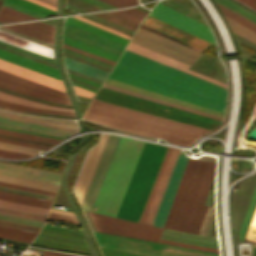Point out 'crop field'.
Here are the masks:
<instances>
[{"instance_id": "crop-field-1", "label": "crop field", "mask_w": 256, "mask_h": 256, "mask_svg": "<svg viewBox=\"0 0 256 256\" xmlns=\"http://www.w3.org/2000/svg\"><path fill=\"white\" fill-rule=\"evenodd\" d=\"M109 78L177 97L223 113L225 110V88L126 50Z\"/></svg>"}, {"instance_id": "crop-field-2", "label": "crop field", "mask_w": 256, "mask_h": 256, "mask_svg": "<svg viewBox=\"0 0 256 256\" xmlns=\"http://www.w3.org/2000/svg\"><path fill=\"white\" fill-rule=\"evenodd\" d=\"M207 162L188 159L171 204L166 228L181 230ZM215 163L208 162L182 231L199 233L208 206H203L214 177Z\"/></svg>"}, {"instance_id": "crop-field-3", "label": "crop field", "mask_w": 256, "mask_h": 256, "mask_svg": "<svg viewBox=\"0 0 256 256\" xmlns=\"http://www.w3.org/2000/svg\"><path fill=\"white\" fill-rule=\"evenodd\" d=\"M144 142L122 137L94 206L97 213H117Z\"/></svg>"}, {"instance_id": "crop-field-4", "label": "crop field", "mask_w": 256, "mask_h": 256, "mask_svg": "<svg viewBox=\"0 0 256 256\" xmlns=\"http://www.w3.org/2000/svg\"><path fill=\"white\" fill-rule=\"evenodd\" d=\"M167 147L145 143L117 217L139 221Z\"/></svg>"}, {"instance_id": "crop-field-5", "label": "crop field", "mask_w": 256, "mask_h": 256, "mask_svg": "<svg viewBox=\"0 0 256 256\" xmlns=\"http://www.w3.org/2000/svg\"><path fill=\"white\" fill-rule=\"evenodd\" d=\"M94 99L212 130L220 121L101 87Z\"/></svg>"}, {"instance_id": "crop-field-6", "label": "crop field", "mask_w": 256, "mask_h": 256, "mask_svg": "<svg viewBox=\"0 0 256 256\" xmlns=\"http://www.w3.org/2000/svg\"><path fill=\"white\" fill-rule=\"evenodd\" d=\"M99 246L149 256H219L217 253L188 249L155 242L95 233Z\"/></svg>"}, {"instance_id": "crop-field-7", "label": "crop field", "mask_w": 256, "mask_h": 256, "mask_svg": "<svg viewBox=\"0 0 256 256\" xmlns=\"http://www.w3.org/2000/svg\"><path fill=\"white\" fill-rule=\"evenodd\" d=\"M88 111L120 118L123 120L159 128L162 130L190 136L196 138L197 136L208 132V130L197 128L194 126H189L185 124H181L178 122H174L171 120H167L164 118L136 112L133 110L125 109L122 107L114 106L111 104L99 102L93 100Z\"/></svg>"}, {"instance_id": "crop-field-8", "label": "crop field", "mask_w": 256, "mask_h": 256, "mask_svg": "<svg viewBox=\"0 0 256 256\" xmlns=\"http://www.w3.org/2000/svg\"><path fill=\"white\" fill-rule=\"evenodd\" d=\"M97 231L101 233L157 242L163 229L89 212Z\"/></svg>"}, {"instance_id": "crop-field-9", "label": "crop field", "mask_w": 256, "mask_h": 256, "mask_svg": "<svg viewBox=\"0 0 256 256\" xmlns=\"http://www.w3.org/2000/svg\"><path fill=\"white\" fill-rule=\"evenodd\" d=\"M0 87L49 102L71 105L65 92L0 70Z\"/></svg>"}, {"instance_id": "crop-field-10", "label": "crop field", "mask_w": 256, "mask_h": 256, "mask_svg": "<svg viewBox=\"0 0 256 256\" xmlns=\"http://www.w3.org/2000/svg\"><path fill=\"white\" fill-rule=\"evenodd\" d=\"M131 42L149 48L171 58L177 59L189 65H191L192 62L199 55L198 53H195L183 46L168 41L139 27L137 28L134 37L131 39Z\"/></svg>"}, {"instance_id": "crop-field-11", "label": "crop field", "mask_w": 256, "mask_h": 256, "mask_svg": "<svg viewBox=\"0 0 256 256\" xmlns=\"http://www.w3.org/2000/svg\"><path fill=\"white\" fill-rule=\"evenodd\" d=\"M84 118L98 122L103 125L115 127L118 129L130 131V132H134V133H138L146 136L161 137L172 143H177V144L189 145L194 140V138L162 131L159 129L123 121L120 119H116V118H112V117H108V116H104V115H100V114H96L88 111L86 112Z\"/></svg>"}, {"instance_id": "crop-field-12", "label": "crop field", "mask_w": 256, "mask_h": 256, "mask_svg": "<svg viewBox=\"0 0 256 256\" xmlns=\"http://www.w3.org/2000/svg\"><path fill=\"white\" fill-rule=\"evenodd\" d=\"M178 151L177 149L168 148L139 222L150 225L163 189L174 166Z\"/></svg>"}, {"instance_id": "crop-field-13", "label": "crop field", "mask_w": 256, "mask_h": 256, "mask_svg": "<svg viewBox=\"0 0 256 256\" xmlns=\"http://www.w3.org/2000/svg\"><path fill=\"white\" fill-rule=\"evenodd\" d=\"M121 137L109 135L100 156L98 166L88 189L82 208L91 211Z\"/></svg>"}, {"instance_id": "crop-field-14", "label": "crop field", "mask_w": 256, "mask_h": 256, "mask_svg": "<svg viewBox=\"0 0 256 256\" xmlns=\"http://www.w3.org/2000/svg\"><path fill=\"white\" fill-rule=\"evenodd\" d=\"M150 15L181 28L189 33L201 37L214 44L215 40L209 28L161 3H157Z\"/></svg>"}, {"instance_id": "crop-field-15", "label": "crop field", "mask_w": 256, "mask_h": 256, "mask_svg": "<svg viewBox=\"0 0 256 256\" xmlns=\"http://www.w3.org/2000/svg\"><path fill=\"white\" fill-rule=\"evenodd\" d=\"M186 161H187V157L178 155V158L176 160L175 166L171 173L170 179L163 192V195L161 197L160 203L158 205V208L156 210L155 216L151 224L161 226V227L164 226L171 201L173 199L174 193L176 191V188L179 183L180 177L182 175Z\"/></svg>"}, {"instance_id": "crop-field-16", "label": "crop field", "mask_w": 256, "mask_h": 256, "mask_svg": "<svg viewBox=\"0 0 256 256\" xmlns=\"http://www.w3.org/2000/svg\"><path fill=\"white\" fill-rule=\"evenodd\" d=\"M108 135L103 134L97 146L90 149L74 187L75 194L82 205L87 189L91 182L98 159Z\"/></svg>"}, {"instance_id": "crop-field-17", "label": "crop field", "mask_w": 256, "mask_h": 256, "mask_svg": "<svg viewBox=\"0 0 256 256\" xmlns=\"http://www.w3.org/2000/svg\"><path fill=\"white\" fill-rule=\"evenodd\" d=\"M46 217L0 208V225L38 232Z\"/></svg>"}, {"instance_id": "crop-field-18", "label": "crop field", "mask_w": 256, "mask_h": 256, "mask_svg": "<svg viewBox=\"0 0 256 256\" xmlns=\"http://www.w3.org/2000/svg\"><path fill=\"white\" fill-rule=\"evenodd\" d=\"M126 50L134 52V53L139 54V55H142L144 57L150 58V59L155 60L157 62L163 63V64L168 65L170 67H173L175 69H178V70H181L183 72L192 74V75L197 76L199 78H202V79H204L206 81H209L211 83H214V84H217V85H220V86L226 88V85L223 84V83H220V82H218L216 80H213L211 78H208L206 76H203L201 74H198V73H196L194 71H191V70L187 69L189 67V65H187V64H184V63L179 62L177 60L171 59L169 57H166L164 55H161V54L156 53L154 51H151L149 49L143 48V47L138 46L136 44H133L131 42L126 47Z\"/></svg>"}, {"instance_id": "crop-field-19", "label": "crop field", "mask_w": 256, "mask_h": 256, "mask_svg": "<svg viewBox=\"0 0 256 256\" xmlns=\"http://www.w3.org/2000/svg\"><path fill=\"white\" fill-rule=\"evenodd\" d=\"M0 173L24 177V178L52 183L56 185H58L60 175H61L57 173H51V172L41 171L37 169H32V168L2 163V162H0Z\"/></svg>"}, {"instance_id": "crop-field-20", "label": "crop field", "mask_w": 256, "mask_h": 256, "mask_svg": "<svg viewBox=\"0 0 256 256\" xmlns=\"http://www.w3.org/2000/svg\"><path fill=\"white\" fill-rule=\"evenodd\" d=\"M0 69H3L9 73H12L36 82H39L41 84L65 91L63 82L61 80L6 62L1 59H0Z\"/></svg>"}, {"instance_id": "crop-field-21", "label": "crop field", "mask_w": 256, "mask_h": 256, "mask_svg": "<svg viewBox=\"0 0 256 256\" xmlns=\"http://www.w3.org/2000/svg\"><path fill=\"white\" fill-rule=\"evenodd\" d=\"M0 192L6 193V194L22 196V197L38 199V200L49 201V202H51L53 199L52 196L32 193V192H28V191H23V190H18V189L3 187V186H0ZM1 193H0V199L10 200V201H14V202L30 204V205L40 206V207H46V208H48L50 205L49 202L38 201V200L22 198V197H17V196H12V195H6V194H1Z\"/></svg>"}, {"instance_id": "crop-field-22", "label": "crop field", "mask_w": 256, "mask_h": 256, "mask_svg": "<svg viewBox=\"0 0 256 256\" xmlns=\"http://www.w3.org/2000/svg\"><path fill=\"white\" fill-rule=\"evenodd\" d=\"M0 58L4 59L6 61H9V62L18 64V65L27 67L29 69H32V70L50 75L52 77L61 79L58 71L56 69H53L54 67L51 68V67L45 66L43 64H40V63H37L35 61L26 59L24 57L18 56L16 54L7 52V51L2 50V49H0Z\"/></svg>"}, {"instance_id": "crop-field-23", "label": "crop field", "mask_w": 256, "mask_h": 256, "mask_svg": "<svg viewBox=\"0 0 256 256\" xmlns=\"http://www.w3.org/2000/svg\"><path fill=\"white\" fill-rule=\"evenodd\" d=\"M105 83H109V84L116 85V86H119V87H122V88L133 90V91H136V92H139V93H143V94H146V95L157 97V98H160V99H163V100L174 102V103H177V104H180V105H184V106L194 108V109H197V110H200V111H204V112H207V113H211V114H214V115H218V116H222V117L224 116V114L220 113V112H216V111H213V110H210V109H207V108H203V107H200V106H197V105H194V104H190V103H187V102H184V101H181V100H177V99H174V98H171V97H168V96H164V95H161V94H158V93H155V92H151V91H148V90H145V89H142V88H138V87H135V86H132V85H129V84H125V83H122V82H119V81H116V80H112V79H109V78L106 79Z\"/></svg>"}, {"instance_id": "crop-field-24", "label": "crop field", "mask_w": 256, "mask_h": 256, "mask_svg": "<svg viewBox=\"0 0 256 256\" xmlns=\"http://www.w3.org/2000/svg\"><path fill=\"white\" fill-rule=\"evenodd\" d=\"M65 22L68 24L74 25L76 27L82 28L84 30L90 31L92 33L98 34L100 36L106 37L108 39L114 40L116 42L122 43L124 45H126V43L128 42V39H126V38L120 37L118 35L108 32V31L102 30L100 28L91 26L89 24H86V23L79 21L77 19H74L72 17L66 18Z\"/></svg>"}, {"instance_id": "crop-field-25", "label": "crop field", "mask_w": 256, "mask_h": 256, "mask_svg": "<svg viewBox=\"0 0 256 256\" xmlns=\"http://www.w3.org/2000/svg\"><path fill=\"white\" fill-rule=\"evenodd\" d=\"M13 26L22 28L29 32L50 38L53 40L55 27L48 25L46 23L35 21V22H27L20 24H12Z\"/></svg>"}, {"instance_id": "crop-field-26", "label": "crop field", "mask_w": 256, "mask_h": 256, "mask_svg": "<svg viewBox=\"0 0 256 256\" xmlns=\"http://www.w3.org/2000/svg\"><path fill=\"white\" fill-rule=\"evenodd\" d=\"M65 65L67 68H70L72 70L78 71L80 73L89 75L91 77L97 78L99 80H104V78L107 76L108 72L99 70L97 68L76 62L74 60L65 58ZM106 79V78H105Z\"/></svg>"}, {"instance_id": "crop-field-27", "label": "crop field", "mask_w": 256, "mask_h": 256, "mask_svg": "<svg viewBox=\"0 0 256 256\" xmlns=\"http://www.w3.org/2000/svg\"><path fill=\"white\" fill-rule=\"evenodd\" d=\"M0 181L56 192V185L0 174Z\"/></svg>"}, {"instance_id": "crop-field-28", "label": "crop field", "mask_w": 256, "mask_h": 256, "mask_svg": "<svg viewBox=\"0 0 256 256\" xmlns=\"http://www.w3.org/2000/svg\"><path fill=\"white\" fill-rule=\"evenodd\" d=\"M63 43L67 44V45H70V46H73V47H76V48H79V49H82V50H85V51H88L90 53H93V54L111 59V60H114V61H116V58H118V55H115V54H112L110 52L98 49L96 47L84 44L82 42L70 39V38L65 37V36L63 38Z\"/></svg>"}, {"instance_id": "crop-field-29", "label": "crop field", "mask_w": 256, "mask_h": 256, "mask_svg": "<svg viewBox=\"0 0 256 256\" xmlns=\"http://www.w3.org/2000/svg\"><path fill=\"white\" fill-rule=\"evenodd\" d=\"M35 235V232L23 231L0 226V237L30 243V241L33 239Z\"/></svg>"}, {"instance_id": "crop-field-30", "label": "crop field", "mask_w": 256, "mask_h": 256, "mask_svg": "<svg viewBox=\"0 0 256 256\" xmlns=\"http://www.w3.org/2000/svg\"><path fill=\"white\" fill-rule=\"evenodd\" d=\"M103 87H107V88L119 90V91H122V92H126V93H129V94H133V95H136V96H140V97H143V98H146V99H150V100H153V101H157V102H160V103H164V104H167V105H171V106H174V107H177V108L186 110V111H190V112H193V113L202 115V116H206V117H209V118H213V119H216V120L222 121V119H223V118H220V117H217V116H213V115H210V114H207V113H203V112H200V111H197V110L185 108V107H182V106H179V105H175V104H172V103H169V102H165V101H162V100H159V99H155V98H152V97H149V96H146V95H142V94H139V93H136V92H132V91L126 90V89H122V88H119V87H115V86H112V85H109V84H105V83H104V84H103Z\"/></svg>"}, {"instance_id": "crop-field-31", "label": "crop field", "mask_w": 256, "mask_h": 256, "mask_svg": "<svg viewBox=\"0 0 256 256\" xmlns=\"http://www.w3.org/2000/svg\"><path fill=\"white\" fill-rule=\"evenodd\" d=\"M0 125L24 129V130H30V131H35V132H40V133H45V134H50V135L62 136V137L71 135V133L41 128V127H36V126L24 125V124H19V123L7 122V121H2V120H0Z\"/></svg>"}, {"instance_id": "crop-field-32", "label": "crop field", "mask_w": 256, "mask_h": 256, "mask_svg": "<svg viewBox=\"0 0 256 256\" xmlns=\"http://www.w3.org/2000/svg\"><path fill=\"white\" fill-rule=\"evenodd\" d=\"M0 98L5 99V100H9V101H13V102H17V103H21V104H25V105H29V106H35V107H41V108H47V109H54V110H60V111L74 112V110L70 109V108H63V107H57V106L42 104V103L26 100V99H23V98H19V97H16V96H12V95H9V94H5V93H2V92H0Z\"/></svg>"}, {"instance_id": "crop-field-33", "label": "crop field", "mask_w": 256, "mask_h": 256, "mask_svg": "<svg viewBox=\"0 0 256 256\" xmlns=\"http://www.w3.org/2000/svg\"><path fill=\"white\" fill-rule=\"evenodd\" d=\"M0 207L19 210V211H25V212H31V213H37V214H43V215H45L48 210L46 208L24 205V204L14 203L10 201H5V200H0Z\"/></svg>"}, {"instance_id": "crop-field-34", "label": "crop field", "mask_w": 256, "mask_h": 256, "mask_svg": "<svg viewBox=\"0 0 256 256\" xmlns=\"http://www.w3.org/2000/svg\"><path fill=\"white\" fill-rule=\"evenodd\" d=\"M109 13H112L119 17L125 18V19L135 22L137 24H139L141 19L146 14V12L136 9L134 7L130 8V9H124V10L109 11Z\"/></svg>"}, {"instance_id": "crop-field-35", "label": "crop field", "mask_w": 256, "mask_h": 256, "mask_svg": "<svg viewBox=\"0 0 256 256\" xmlns=\"http://www.w3.org/2000/svg\"><path fill=\"white\" fill-rule=\"evenodd\" d=\"M28 19H35V18L24 15L17 11L11 10L4 6H2L0 9V21L3 23L20 21V20H28Z\"/></svg>"}, {"instance_id": "crop-field-36", "label": "crop field", "mask_w": 256, "mask_h": 256, "mask_svg": "<svg viewBox=\"0 0 256 256\" xmlns=\"http://www.w3.org/2000/svg\"><path fill=\"white\" fill-rule=\"evenodd\" d=\"M225 17V16H224ZM233 32L256 44V33L225 17Z\"/></svg>"}, {"instance_id": "crop-field-37", "label": "crop field", "mask_w": 256, "mask_h": 256, "mask_svg": "<svg viewBox=\"0 0 256 256\" xmlns=\"http://www.w3.org/2000/svg\"><path fill=\"white\" fill-rule=\"evenodd\" d=\"M8 2L14 3L16 5H19L21 7L27 8L29 10L35 11L37 13H40L42 15H46V14H52V13H56L53 10H50L48 8L42 7L40 5H37L35 3H32L30 1L27 0H6Z\"/></svg>"}, {"instance_id": "crop-field-38", "label": "crop field", "mask_w": 256, "mask_h": 256, "mask_svg": "<svg viewBox=\"0 0 256 256\" xmlns=\"http://www.w3.org/2000/svg\"><path fill=\"white\" fill-rule=\"evenodd\" d=\"M0 106L10 107V108H15V109H20V110H27V111L48 112V113H56V114H64V115L75 116V114H71V113H65V112H59V111L29 107V106H24V105L12 103V102L4 101V100H0Z\"/></svg>"}, {"instance_id": "crop-field-39", "label": "crop field", "mask_w": 256, "mask_h": 256, "mask_svg": "<svg viewBox=\"0 0 256 256\" xmlns=\"http://www.w3.org/2000/svg\"><path fill=\"white\" fill-rule=\"evenodd\" d=\"M255 205H256V187H255L254 193L252 195V198H251V201L249 203L244 221L242 223V226H241V229H240V232H239L240 241H242L244 236H245L246 229H247V226H248V223L250 221V218H251V215L253 213Z\"/></svg>"}, {"instance_id": "crop-field-40", "label": "crop field", "mask_w": 256, "mask_h": 256, "mask_svg": "<svg viewBox=\"0 0 256 256\" xmlns=\"http://www.w3.org/2000/svg\"><path fill=\"white\" fill-rule=\"evenodd\" d=\"M47 218L78 224L74 213L71 212L51 209Z\"/></svg>"}, {"instance_id": "crop-field-41", "label": "crop field", "mask_w": 256, "mask_h": 256, "mask_svg": "<svg viewBox=\"0 0 256 256\" xmlns=\"http://www.w3.org/2000/svg\"><path fill=\"white\" fill-rule=\"evenodd\" d=\"M218 6H219V8H220V10H221L223 15L233 19L234 21H236V22L242 24L243 26H245V27L253 30L254 32H256V25L255 24L247 21L246 19L236 15L235 13L227 10L226 8H224V7L220 6V5H218Z\"/></svg>"}, {"instance_id": "crop-field-42", "label": "crop field", "mask_w": 256, "mask_h": 256, "mask_svg": "<svg viewBox=\"0 0 256 256\" xmlns=\"http://www.w3.org/2000/svg\"><path fill=\"white\" fill-rule=\"evenodd\" d=\"M0 148L22 152V153L33 154V155H37V151H38L37 148H31V147L20 146V145L4 143V142H0Z\"/></svg>"}, {"instance_id": "crop-field-43", "label": "crop field", "mask_w": 256, "mask_h": 256, "mask_svg": "<svg viewBox=\"0 0 256 256\" xmlns=\"http://www.w3.org/2000/svg\"><path fill=\"white\" fill-rule=\"evenodd\" d=\"M100 248L104 256H144V255L133 254V253L123 252V251H118L113 249H107L102 247Z\"/></svg>"}, {"instance_id": "crop-field-44", "label": "crop field", "mask_w": 256, "mask_h": 256, "mask_svg": "<svg viewBox=\"0 0 256 256\" xmlns=\"http://www.w3.org/2000/svg\"><path fill=\"white\" fill-rule=\"evenodd\" d=\"M161 243H167V244H172V245H178V246H183V247H189V248H195V249H200V250H206V251H211V252H217L219 253L218 250L216 249H211V248H205V247H200V246H195V245H189V244H184V243H179V242H174V241H168V240H160Z\"/></svg>"}, {"instance_id": "crop-field-45", "label": "crop field", "mask_w": 256, "mask_h": 256, "mask_svg": "<svg viewBox=\"0 0 256 256\" xmlns=\"http://www.w3.org/2000/svg\"><path fill=\"white\" fill-rule=\"evenodd\" d=\"M30 156H33V155L22 154V153H17V152L6 151V150L0 149V157H3V158H26V157H30Z\"/></svg>"}, {"instance_id": "crop-field-46", "label": "crop field", "mask_w": 256, "mask_h": 256, "mask_svg": "<svg viewBox=\"0 0 256 256\" xmlns=\"http://www.w3.org/2000/svg\"><path fill=\"white\" fill-rule=\"evenodd\" d=\"M0 185L8 186V187H13V188H18V189H23V190H28V191L42 193V194H47V195H52V196H54V194H55L53 192H48V191H43V190H38V189H33V188H28V187H23V186L3 183V182H0Z\"/></svg>"}, {"instance_id": "crop-field-47", "label": "crop field", "mask_w": 256, "mask_h": 256, "mask_svg": "<svg viewBox=\"0 0 256 256\" xmlns=\"http://www.w3.org/2000/svg\"><path fill=\"white\" fill-rule=\"evenodd\" d=\"M0 133H1V134H7V135L18 136V137L29 138V139H35V140L46 141V142H50V143H54V144H56L57 142H59V141H57V140H51V139L33 137V136H28V135L16 134V133H11V132L1 131V130H0Z\"/></svg>"}, {"instance_id": "crop-field-48", "label": "crop field", "mask_w": 256, "mask_h": 256, "mask_svg": "<svg viewBox=\"0 0 256 256\" xmlns=\"http://www.w3.org/2000/svg\"><path fill=\"white\" fill-rule=\"evenodd\" d=\"M73 88H74L76 94L87 97V98H90V99H92V97H91L92 94L95 95L94 92H91V91H88V90H85V89H82V88H79V87H76V86H73Z\"/></svg>"}, {"instance_id": "crop-field-49", "label": "crop field", "mask_w": 256, "mask_h": 256, "mask_svg": "<svg viewBox=\"0 0 256 256\" xmlns=\"http://www.w3.org/2000/svg\"><path fill=\"white\" fill-rule=\"evenodd\" d=\"M222 1L226 2L227 4H229V5L233 6V7H235L236 9H238V10L244 12L245 14H247V15L253 17L254 19H256V15L253 14V13H251V12H249V11H247L248 9L246 10V9L240 7L239 5L233 3V2L230 1V0H222Z\"/></svg>"}, {"instance_id": "crop-field-50", "label": "crop field", "mask_w": 256, "mask_h": 256, "mask_svg": "<svg viewBox=\"0 0 256 256\" xmlns=\"http://www.w3.org/2000/svg\"><path fill=\"white\" fill-rule=\"evenodd\" d=\"M74 17H76V18H78V19H81V20H83V21H85V22H88V23H90V24H93V25H95V26H97V27L106 29V30H108V31L114 32V33H116V34L122 35V36L127 37V38L130 39V36H127V35L121 34V33H119V32L113 31V30H111V29H108V28H106V27H103V26H101V25H98V24H96V23H93V22H91V21H89V20H86V19H84V18H81V17H79V16H74Z\"/></svg>"}, {"instance_id": "crop-field-51", "label": "crop field", "mask_w": 256, "mask_h": 256, "mask_svg": "<svg viewBox=\"0 0 256 256\" xmlns=\"http://www.w3.org/2000/svg\"><path fill=\"white\" fill-rule=\"evenodd\" d=\"M102 1H104V2H106L108 4H111V5H113V6L117 7V8L129 6V5H127L125 3H122V2H120L118 0H102Z\"/></svg>"}, {"instance_id": "crop-field-52", "label": "crop field", "mask_w": 256, "mask_h": 256, "mask_svg": "<svg viewBox=\"0 0 256 256\" xmlns=\"http://www.w3.org/2000/svg\"><path fill=\"white\" fill-rule=\"evenodd\" d=\"M239 1L256 10V0H239Z\"/></svg>"}, {"instance_id": "crop-field-53", "label": "crop field", "mask_w": 256, "mask_h": 256, "mask_svg": "<svg viewBox=\"0 0 256 256\" xmlns=\"http://www.w3.org/2000/svg\"><path fill=\"white\" fill-rule=\"evenodd\" d=\"M0 141L10 142V143H16V144H21V145H27V146H32V147H38V148L48 149V147H42V146H37V145H32V144H26V143H21V142H16V141H10V140H4V139H0Z\"/></svg>"}, {"instance_id": "crop-field-54", "label": "crop field", "mask_w": 256, "mask_h": 256, "mask_svg": "<svg viewBox=\"0 0 256 256\" xmlns=\"http://www.w3.org/2000/svg\"><path fill=\"white\" fill-rule=\"evenodd\" d=\"M68 75H69L70 77L75 78V79H78V80H81V81L87 82V83H89V84H92V85H95V86L100 87V84L94 83V82H92V81H89V80L80 78V77H78V76H75V75H72V74H69V73H68Z\"/></svg>"}, {"instance_id": "crop-field-55", "label": "crop field", "mask_w": 256, "mask_h": 256, "mask_svg": "<svg viewBox=\"0 0 256 256\" xmlns=\"http://www.w3.org/2000/svg\"><path fill=\"white\" fill-rule=\"evenodd\" d=\"M30 1L35 2V3H37V4H40V5H43V6H45V7L51 8V9H53V10H56L55 7L50 6V5H48V4H45V3H42V2H40V1H37V0H30Z\"/></svg>"}, {"instance_id": "crop-field-56", "label": "crop field", "mask_w": 256, "mask_h": 256, "mask_svg": "<svg viewBox=\"0 0 256 256\" xmlns=\"http://www.w3.org/2000/svg\"><path fill=\"white\" fill-rule=\"evenodd\" d=\"M0 129H1V130H6V131H11V132H16V133L34 135V134H29V133H24V132H19V131H13V130H8V129H3V128H0ZM34 136H39V135H34ZM39 137H44V136H39ZM45 138H49V137H45ZM51 139H54V138H51ZM57 140H59V139H57Z\"/></svg>"}, {"instance_id": "crop-field-57", "label": "crop field", "mask_w": 256, "mask_h": 256, "mask_svg": "<svg viewBox=\"0 0 256 256\" xmlns=\"http://www.w3.org/2000/svg\"><path fill=\"white\" fill-rule=\"evenodd\" d=\"M40 1L48 3V4L53 5L55 7L57 5V0H40Z\"/></svg>"}, {"instance_id": "crop-field-58", "label": "crop field", "mask_w": 256, "mask_h": 256, "mask_svg": "<svg viewBox=\"0 0 256 256\" xmlns=\"http://www.w3.org/2000/svg\"><path fill=\"white\" fill-rule=\"evenodd\" d=\"M121 1L126 2L130 5L138 4L137 0H121Z\"/></svg>"}, {"instance_id": "crop-field-59", "label": "crop field", "mask_w": 256, "mask_h": 256, "mask_svg": "<svg viewBox=\"0 0 256 256\" xmlns=\"http://www.w3.org/2000/svg\"><path fill=\"white\" fill-rule=\"evenodd\" d=\"M22 256H25V255H22ZM42 256H63V255H57V254H52V253L44 252Z\"/></svg>"}, {"instance_id": "crop-field-60", "label": "crop field", "mask_w": 256, "mask_h": 256, "mask_svg": "<svg viewBox=\"0 0 256 256\" xmlns=\"http://www.w3.org/2000/svg\"><path fill=\"white\" fill-rule=\"evenodd\" d=\"M72 83V82H71ZM73 85H76V86H79V87H82V88H86V89H89V90H92V91H95L96 92V90H93V89H90V88H87V87H84V86H81V85H78V84H75V83H72Z\"/></svg>"}]
</instances>
